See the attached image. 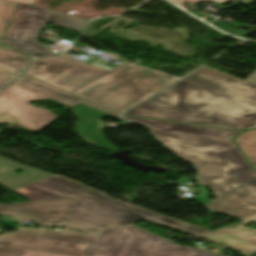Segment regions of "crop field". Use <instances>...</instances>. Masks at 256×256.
<instances>
[{
    "label": "crop field",
    "mask_w": 256,
    "mask_h": 256,
    "mask_svg": "<svg viewBox=\"0 0 256 256\" xmlns=\"http://www.w3.org/2000/svg\"><path fill=\"white\" fill-rule=\"evenodd\" d=\"M122 118L146 125L165 146L196 165L198 180L217 198L205 205L213 213L240 219L256 213V171L229 139L238 130L126 115Z\"/></svg>",
    "instance_id": "8a807250"
},
{
    "label": "crop field",
    "mask_w": 256,
    "mask_h": 256,
    "mask_svg": "<svg viewBox=\"0 0 256 256\" xmlns=\"http://www.w3.org/2000/svg\"><path fill=\"white\" fill-rule=\"evenodd\" d=\"M124 114L246 130L256 123V86L192 73Z\"/></svg>",
    "instance_id": "ac0d7876"
},
{
    "label": "crop field",
    "mask_w": 256,
    "mask_h": 256,
    "mask_svg": "<svg viewBox=\"0 0 256 256\" xmlns=\"http://www.w3.org/2000/svg\"><path fill=\"white\" fill-rule=\"evenodd\" d=\"M27 74L114 112L135 105L175 80L131 65L107 70L66 54L32 62Z\"/></svg>",
    "instance_id": "34b2d1b8"
},
{
    "label": "crop field",
    "mask_w": 256,
    "mask_h": 256,
    "mask_svg": "<svg viewBox=\"0 0 256 256\" xmlns=\"http://www.w3.org/2000/svg\"><path fill=\"white\" fill-rule=\"evenodd\" d=\"M13 192L30 201L79 196L65 224L72 228L97 229L124 226L145 218L195 236L209 232L130 203L115 200L106 193L92 190L79 182L58 175H52Z\"/></svg>",
    "instance_id": "412701ff"
},
{
    "label": "crop field",
    "mask_w": 256,
    "mask_h": 256,
    "mask_svg": "<svg viewBox=\"0 0 256 256\" xmlns=\"http://www.w3.org/2000/svg\"><path fill=\"white\" fill-rule=\"evenodd\" d=\"M86 256H219L174 244L133 224L100 229Z\"/></svg>",
    "instance_id": "f4fd0767"
},
{
    "label": "crop field",
    "mask_w": 256,
    "mask_h": 256,
    "mask_svg": "<svg viewBox=\"0 0 256 256\" xmlns=\"http://www.w3.org/2000/svg\"><path fill=\"white\" fill-rule=\"evenodd\" d=\"M46 22L81 31L86 20L19 3L2 39L34 57L52 56L54 54L48 48L35 41L40 28Z\"/></svg>",
    "instance_id": "dd49c442"
},
{
    "label": "crop field",
    "mask_w": 256,
    "mask_h": 256,
    "mask_svg": "<svg viewBox=\"0 0 256 256\" xmlns=\"http://www.w3.org/2000/svg\"><path fill=\"white\" fill-rule=\"evenodd\" d=\"M94 238V235L65 230L19 228L14 233L0 235V245L85 256Z\"/></svg>",
    "instance_id": "e52e79f7"
},
{
    "label": "crop field",
    "mask_w": 256,
    "mask_h": 256,
    "mask_svg": "<svg viewBox=\"0 0 256 256\" xmlns=\"http://www.w3.org/2000/svg\"><path fill=\"white\" fill-rule=\"evenodd\" d=\"M48 100L14 84L0 93V123H16L30 131H37L58 117L49 111L35 108L28 103Z\"/></svg>",
    "instance_id": "d8731c3e"
},
{
    "label": "crop field",
    "mask_w": 256,
    "mask_h": 256,
    "mask_svg": "<svg viewBox=\"0 0 256 256\" xmlns=\"http://www.w3.org/2000/svg\"><path fill=\"white\" fill-rule=\"evenodd\" d=\"M78 197L0 205V214L43 226H64Z\"/></svg>",
    "instance_id": "5a996713"
},
{
    "label": "crop field",
    "mask_w": 256,
    "mask_h": 256,
    "mask_svg": "<svg viewBox=\"0 0 256 256\" xmlns=\"http://www.w3.org/2000/svg\"><path fill=\"white\" fill-rule=\"evenodd\" d=\"M72 114L79 117L75 132L82 138L85 144L108 149L118 150L102 134L100 119L111 116L83 103H78L72 110ZM113 117V116H112Z\"/></svg>",
    "instance_id": "3316defc"
},
{
    "label": "crop field",
    "mask_w": 256,
    "mask_h": 256,
    "mask_svg": "<svg viewBox=\"0 0 256 256\" xmlns=\"http://www.w3.org/2000/svg\"><path fill=\"white\" fill-rule=\"evenodd\" d=\"M199 238L217 243L244 254L256 253V231L242 225L222 227ZM222 241L231 242L224 244Z\"/></svg>",
    "instance_id": "28ad6ade"
},
{
    "label": "crop field",
    "mask_w": 256,
    "mask_h": 256,
    "mask_svg": "<svg viewBox=\"0 0 256 256\" xmlns=\"http://www.w3.org/2000/svg\"><path fill=\"white\" fill-rule=\"evenodd\" d=\"M2 130H0V133ZM22 171V175L14 173ZM52 174L31 168L0 156V184L16 190Z\"/></svg>",
    "instance_id": "d1516ede"
},
{
    "label": "crop field",
    "mask_w": 256,
    "mask_h": 256,
    "mask_svg": "<svg viewBox=\"0 0 256 256\" xmlns=\"http://www.w3.org/2000/svg\"><path fill=\"white\" fill-rule=\"evenodd\" d=\"M14 84L18 85V86H21L23 88H26L30 91H33L37 94H40L42 96H45L49 99H52L56 102H59L63 105H66L68 107H71L74 106L75 104H77L78 102H83L87 105H90L94 108H97L95 106H93L92 104H90L89 102L85 101V100H82L80 98H77L75 96H72V95H69V94H66L58 89H55L47 84H44L40 81H37L27 75L23 76L22 78H20L18 81H16ZM99 109V108H97ZM101 111H104L108 114H111L115 117H118V114H115V113H111V112H107L105 110H102V109H99Z\"/></svg>",
    "instance_id": "22f410ed"
},
{
    "label": "crop field",
    "mask_w": 256,
    "mask_h": 256,
    "mask_svg": "<svg viewBox=\"0 0 256 256\" xmlns=\"http://www.w3.org/2000/svg\"><path fill=\"white\" fill-rule=\"evenodd\" d=\"M29 59L0 48V79L11 82L25 69Z\"/></svg>",
    "instance_id": "cbeb9de0"
},
{
    "label": "crop field",
    "mask_w": 256,
    "mask_h": 256,
    "mask_svg": "<svg viewBox=\"0 0 256 256\" xmlns=\"http://www.w3.org/2000/svg\"><path fill=\"white\" fill-rule=\"evenodd\" d=\"M236 145L256 170V130L243 131L234 139Z\"/></svg>",
    "instance_id": "5142ce71"
},
{
    "label": "crop field",
    "mask_w": 256,
    "mask_h": 256,
    "mask_svg": "<svg viewBox=\"0 0 256 256\" xmlns=\"http://www.w3.org/2000/svg\"><path fill=\"white\" fill-rule=\"evenodd\" d=\"M0 256H61L0 246Z\"/></svg>",
    "instance_id": "d9b57169"
},
{
    "label": "crop field",
    "mask_w": 256,
    "mask_h": 256,
    "mask_svg": "<svg viewBox=\"0 0 256 256\" xmlns=\"http://www.w3.org/2000/svg\"><path fill=\"white\" fill-rule=\"evenodd\" d=\"M16 4L17 3L14 2L0 0V36L2 35L4 28L6 26L5 24L2 23L4 19H10Z\"/></svg>",
    "instance_id": "733c2abd"
},
{
    "label": "crop field",
    "mask_w": 256,
    "mask_h": 256,
    "mask_svg": "<svg viewBox=\"0 0 256 256\" xmlns=\"http://www.w3.org/2000/svg\"><path fill=\"white\" fill-rule=\"evenodd\" d=\"M195 73L202 74V75H205V76H208V77H211V78H215V79H218V80H221V79H223V78L228 76L226 74H223L221 72H218V71L213 70L211 68H208L206 66H204L201 69L197 70Z\"/></svg>",
    "instance_id": "4a817a6b"
},
{
    "label": "crop field",
    "mask_w": 256,
    "mask_h": 256,
    "mask_svg": "<svg viewBox=\"0 0 256 256\" xmlns=\"http://www.w3.org/2000/svg\"><path fill=\"white\" fill-rule=\"evenodd\" d=\"M215 23H216L217 27L223 29L225 32H227L229 34L240 36V37H245L246 35H248V33L237 30L221 21H216Z\"/></svg>",
    "instance_id": "bc2a9ffb"
},
{
    "label": "crop field",
    "mask_w": 256,
    "mask_h": 256,
    "mask_svg": "<svg viewBox=\"0 0 256 256\" xmlns=\"http://www.w3.org/2000/svg\"><path fill=\"white\" fill-rule=\"evenodd\" d=\"M179 5L183 4L184 2H189L193 5L197 4L198 2H201V1H215V2H220V3H223L225 0H171Z\"/></svg>",
    "instance_id": "214f88e0"
},
{
    "label": "crop field",
    "mask_w": 256,
    "mask_h": 256,
    "mask_svg": "<svg viewBox=\"0 0 256 256\" xmlns=\"http://www.w3.org/2000/svg\"><path fill=\"white\" fill-rule=\"evenodd\" d=\"M245 81L247 82H250L252 84H255L256 85V70L251 73L246 79ZM252 128H256V124H254L252 127H250L249 129H252Z\"/></svg>",
    "instance_id": "92a150f3"
},
{
    "label": "crop field",
    "mask_w": 256,
    "mask_h": 256,
    "mask_svg": "<svg viewBox=\"0 0 256 256\" xmlns=\"http://www.w3.org/2000/svg\"><path fill=\"white\" fill-rule=\"evenodd\" d=\"M242 221H243V223H245V224H249V223H251V222H253V221L256 222V214L253 215V216H250V217H248V218H245V219H243Z\"/></svg>",
    "instance_id": "dafd665d"
},
{
    "label": "crop field",
    "mask_w": 256,
    "mask_h": 256,
    "mask_svg": "<svg viewBox=\"0 0 256 256\" xmlns=\"http://www.w3.org/2000/svg\"><path fill=\"white\" fill-rule=\"evenodd\" d=\"M9 1H15V2H21L32 5L34 0H9Z\"/></svg>",
    "instance_id": "00972430"
},
{
    "label": "crop field",
    "mask_w": 256,
    "mask_h": 256,
    "mask_svg": "<svg viewBox=\"0 0 256 256\" xmlns=\"http://www.w3.org/2000/svg\"><path fill=\"white\" fill-rule=\"evenodd\" d=\"M7 84H9L8 82L2 81L0 80V90L3 89Z\"/></svg>",
    "instance_id": "a9b5d70f"
},
{
    "label": "crop field",
    "mask_w": 256,
    "mask_h": 256,
    "mask_svg": "<svg viewBox=\"0 0 256 256\" xmlns=\"http://www.w3.org/2000/svg\"><path fill=\"white\" fill-rule=\"evenodd\" d=\"M1 42H4V43H7L11 48H13V49H17L16 48V46H14V45H12V44H10V43H8V42H5V41H3V40H1ZM18 50V49H17ZM21 51V50H20Z\"/></svg>",
    "instance_id": "4177f3b9"
},
{
    "label": "crop field",
    "mask_w": 256,
    "mask_h": 256,
    "mask_svg": "<svg viewBox=\"0 0 256 256\" xmlns=\"http://www.w3.org/2000/svg\"><path fill=\"white\" fill-rule=\"evenodd\" d=\"M255 1H256V0H249V1H247V2L242 3V5L245 6V5L250 4V3H252V2H255Z\"/></svg>",
    "instance_id": "730fd06b"
},
{
    "label": "crop field",
    "mask_w": 256,
    "mask_h": 256,
    "mask_svg": "<svg viewBox=\"0 0 256 256\" xmlns=\"http://www.w3.org/2000/svg\"><path fill=\"white\" fill-rule=\"evenodd\" d=\"M239 1H241V0H234L233 2L237 3V2H239Z\"/></svg>",
    "instance_id": "eef30255"
}]
</instances>
